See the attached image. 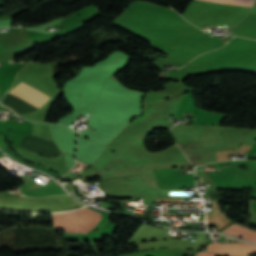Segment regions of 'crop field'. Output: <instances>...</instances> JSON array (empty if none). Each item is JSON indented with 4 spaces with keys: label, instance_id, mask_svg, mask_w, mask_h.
Segmentation results:
<instances>
[{
    "label": "crop field",
    "instance_id": "dd49c442",
    "mask_svg": "<svg viewBox=\"0 0 256 256\" xmlns=\"http://www.w3.org/2000/svg\"><path fill=\"white\" fill-rule=\"evenodd\" d=\"M247 256V255H246Z\"/></svg>",
    "mask_w": 256,
    "mask_h": 256
},
{
    "label": "crop field",
    "instance_id": "34b2d1b8",
    "mask_svg": "<svg viewBox=\"0 0 256 256\" xmlns=\"http://www.w3.org/2000/svg\"><path fill=\"white\" fill-rule=\"evenodd\" d=\"M221 233L242 237L247 240L256 242V231L247 229L239 224H233Z\"/></svg>",
    "mask_w": 256,
    "mask_h": 256
},
{
    "label": "crop field",
    "instance_id": "8a807250",
    "mask_svg": "<svg viewBox=\"0 0 256 256\" xmlns=\"http://www.w3.org/2000/svg\"><path fill=\"white\" fill-rule=\"evenodd\" d=\"M54 229H64L65 233H88L103 218V215L88 207L69 212L52 214Z\"/></svg>",
    "mask_w": 256,
    "mask_h": 256
},
{
    "label": "crop field",
    "instance_id": "f4fd0767",
    "mask_svg": "<svg viewBox=\"0 0 256 256\" xmlns=\"http://www.w3.org/2000/svg\"><path fill=\"white\" fill-rule=\"evenodd\" d=\"M194 256H216L215 253H204V252H199Z\"/></svg>",
    "mask_w": 256,
    "mask_h": 256
},
{
    "label": "crop field",
    "instance_id": "412701ff",
    "mask_svg": "<svg viewBox=\"0 0 256 256\" xmlns=\"http://www.w3.org/2000/svg\"><path fill=\"white\" fill-rule=\"evenodd\" d=\"M204 1H212V2H219V3L251 7L254 0H204Z\"/></svg>",
    "mask_w": 256,
    "mask_h": 256
},
{
    "label": "crop field",
    "instance_id": "ac0d7876",
    "mask_svg": "<svg viewBox=\"0 0 256 256\" xmlns=\"http://www.w3.org/2000/svg\"><path fill=\"white\" fill-rule=\"evenodd\" d=\"M10 92L16 94L17 96L23 98L24 100H26L28 102H30L38 109L40 107H42L50 98V97L46 96L45 94H43L42 92H40L39 90H37L31 86L22 84V83L18 84L16 87H14L12 90H10Z\"/></svg>",
    "mask_w": 256,
    "mask_h": 256
}]
</instances>
